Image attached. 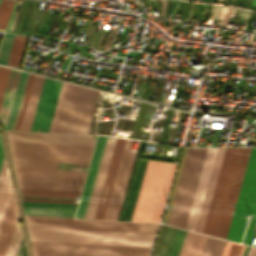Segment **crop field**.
<instances>
[{"label":"crop field","instance_id":"crop-field-52","mask_svg":"<svg viewBox=\"0 0 256 256\" xmlns=\"http://www.w3.org/2000/svg\"><path fill=\"white\" fill-rule=\"evenodd\" d=\"M219 9H220V6H217V7H216L215 14H214V17H213V18L217 19V17H218V13H219Z\"/></svg>","mask_w":256,"mask_h":256},{"label":"crop field","instance_id":"crop-field-35","mask_svg":"<svg viewBox=\"0 0 256 256\" xmlns=\"http://www.w3.org/2000/svg\"><path fill=\"white\" fill-rule=\"evenodd\" d=\"M25 212L74 215L75 210L23 207Z\"/></svg>","mask_w":256,"mask_h":256},{"label":"crop field","instance_id":"crop-field-69","mask_svg":"<svg viewBox=\"0 0 256 256\" xmlns=\"http://www.w3.org/2000/svg\"><path fill=\"white\" fill-rule=\"evenodd\" d=\"M235 3H236V0L234 1V4H233V5H235Z\"/></svg>","mask_w":256,"mask_h":256},{"label":"crop field","instance_id":"crop-field-31","mask_svg":"<svg viewBox=\"0 0 256 256\" xmlns=\"http://www.w3.org/2000/svg\"><path fill=\"white\" fill-rule=\"evenodd\" d=\"M21 237H22L21 229H20L18 220H16V224L12 233V237L8 246L6 256H16Z\"/></svg>","mask_w":256,"mask_h":256},{"label":"crop field","instance_id":"crop-field-15","mask_svg":"<svg viewBox=\"0 0 256 256\" xmlns=\"http://www.w3.org/2000/svg\"><path fill=\"white\" fill-rule=\"evenodd\" d=\"M11 151L91 155L93 146L8 142Z\"/></svg>","mask_w":256,"mask_h":256},{"label":"crop field","instance_id":"crop-field-57","mask_svg":"<svg viewBox=\"0 0 256 256\" xmlns=\"http://www.w3.org/2000/svg\"><path fill=\"white\" fill-rule=\"evenodd\" d=\"M190 4H191V3H189V2H188V4H187V9H186V13H185V17H187V16H188V12H189V8H190Z\"/></svg>","mask_w":256,"mask_h":256},{"label":"crop field","instance_id":"crop-field-10","mask_svg":"<svg viewBox=\"0 0 256 256\" xmlns=\"http://www.w3.org/2000/svg\"><path fill=\"white\" fill-rule=\"evenodd\" d=\"M61 83L58 80L44 78L30 130H49Z\"/></svg>","mask_w":256,"mask_h":256},{"label":"crop field","instance_id":"crop-field-45","mask_svg":"<svg viewBox=\"0 0 256 256\" xmlns=\"http://www.w3.org/2000/svg\"><path fill=\"white\" fill-rule=\"evenodd\" d=\"M30 75H31V74L29 73L28 78H27V82H26V86H25V90H24V93H23V97H22L20 109H19V112H18V116H17L15 128H14V129H16V125H17V122H18L19 114H20L21 107H22V104H23V100H24V97H25V93H26V90H27V86H28V82H29V79H30Z\"/></svg>","mask_w":256,"mask_h":256},{"label":"crop field","instance_id":"crop-field-73","mask_svg":"<svg viewBox=\"0 0 256 256\" xmlns=\"http://www.w3.org/2000/svg\"><path fill=\"white\" fill-rule=\"evenodd\" d=\"M209 1V0H208Z\"/></svg>","mask_w":256,"mask_h":256},{"label":"crop field","instance_id":"crop-field-40","mask_svg":"<svg viewBox=\"0 0 256 256\" xmlns=\"http://www.w3.org/2000/svg\"><path fill=\"white\" fill-rule=\"evenodd\" d=\"M66 84L67 83H62V87H61V90H60V94H59V98H58V101H57V105H56V108H55V112H54V115H53V119H52V123H51V126H50V132H53L54 131V127H55V124H56V120H57V116H58V113H59V109H60V106H61V102H62V99H63V95H64V91H65V88H66Z\"/></svg>","mask_w":256,"mask_h":256},{"label":"crop field","instance_id":"crop-field-51","mask_svg":"<svg viewBox=\"0 0 256 256\" xmlns=\"http://www.w3.org/2000/svg\"><path fill=\"white\" fill-rule=\"evenodd\" d=\"M206 6H207V5H205V4L203 5V9H202V13H201L200 19H204Z\"/></svg>","mask_w":256,"mask_h":256},{"label":"crop field","instance_id":"crop-field-61","mask_svg":"<svg viewBox=\"0 0 256 256\" xmlns=\"http://www.w3.org/2000/svg\"><path fill=\"white\" fill-rule=\"evenodd\" d=\"M256 6V0H253L252 7Z\"/></svg>","mask_w":256,"mask_h":256},{"label":"crop field","instance_id":"crop-field-22","mask_svg":"<svg viewBox=\"0 0 256 256\" xmlns=\"http://www.w3.org/2000/svg\"><path fill=\"white\" fill-rule=\"evenodd\" d=\"M43 78L44 77L37 76V75L34 76L32 88L30 91L28 103L26 106V110H25V114L23 117V121H22L20 130H29L30 129L31 121H32L33 114L35 111V107H36V103H37L38 96L40 93Z\"/></svg>","mask_w":256,"mask_h":256},{"label":"crop field","instance_id":"crop-field-67","mask_svg":"<svg viewBox=\"0 0 256 256\" xmlns=\"http://www.w3.org/2000/svg\"><path fill=\"white\" fill-rule=\"evenodd\" d=\"M238 2H241V0H237V4H238Z\"/></svg>","mask_w":256,"mask_h":256},{"label":"crop field","instance_id":"crop-field-36","mask_svg":"<svg viewBox=\"0 0 256 256\" xmlns=\"http://www.w3.org/2000/svg\"><path fill=\"white\" fill-rule=\"evenodd\" d=\"M24 74L25 73L21 71L20 76H19V80H18V84H17V87H16V91H15V94H14V98H13V101H12L11 109H10V112H9V116H8V119H7V123H6V127H5L6 129L10 128V124H11V121H12L13 113H14V110H15V106H16V103H17L18 96H19V92H20V89H21Z\"/></svg>","mask_w":256,"mask_h":256},{"label":"crop field","instance_id":"crop-field-12","mask_svg":"<svg viewBox=\"0 0 256 256\" xmlns=\"http://www.w3.org/2000/svg\"><path fill=\"white\" fill-rule=\"evenodd\" d=\"M8 141L93 145V136L7 131Z\"/></svg>","mask_w":256,"mask_h":256},{"label":"crop field","instance_id":"crop-field-39","mask_svg":"<svg viewBox=\"0 0 256 256\" xmlns=\"http://www.w3.org/2000/svg\"><path fill=\"white\" fill-rule=\"evenodd\" d=\"M23 206L75 209L77 205L22 202Z\"/></svg>","mask_w":256,"mask_h":256},{"label":"crop field","instance_id":"crop-field-72","mask_svg":"<svg viewBox=\"0 0 256 256\" xmlns=\"http://www.w3.org/2000/svg\"><path fill=\"white\" fill-rule=\"evenodd\" d=\"M204 1V0H203Z\"/></svg>","mask_w":256,"mask_h":256},{"label":"crop field","instance_id":"crop-field-4","mask_svg":"<svg viewBox=\"0 0 256 256\" xmlns=\"http://www.w3.org/2000/svg\"><path fill=\"white\" fill-rule=\"evenodd\" d=\"M246 212L255 213L253 219L248 221L243 241V243L250 245L256 224V148L251 149L226 239L241 241L247 219L245 218Z\"/></svg>","mask_w":256,"mask_h":256},{"label":"crop field","instance_id":"crop-field-7","mask_svg":"<svg viewBox=\"0 0 256 256\" xmlns=\"http://www.w3.org/2000/svg\"><path fill=\"white\" fill-rule=\"evenodd\" d=\"M28 226L156 233L159 224L25 216Z\"/></svg>","mask_w":256,"mask_h":256},{"label":"crop field","instance_id":"crop-field-2","mask_svg":"<svg viewBox=\"0 0 256 256\" xmlns=\"http://www.w3.org/2000/svg\"><path fill=\"white\" fill-rule=\"evenodd\" d=\"M175 166L172 163L148 161L132 221L160 222Z\"/></svg>","mask_w":256,"mask_h":256},{"label":"crop field","instance_id":"crop-field-14","mask_svg":"<svg viewBox=\"0 0 256 256\" xmlns=\"http://www.w3.org/2000/svg\"><path fill=\"white\" fill-rule=\"evenodd\" d=\"M33 256H148L149 253L31 246Z\"/></svg>","mask_w":256,"mask_h":256},{"label":"crop field","instance_id":"crop-field-17","mask_svg":"<svg viewBox=\"0 0 256 256\" xmlns=\"http://www.w3.org/2000/svg\"><path fill=\"white\" fill-rule=\"evenodd\" d=\"M124 141L125 140H123V139H119V138L116 139L113 154L111 157V161L109 164V168L107 171L106 179L104 182V186L102 189V193L100 196V200L98 203V207H97V211H96L94 219H103L104 218L105 210H106L108 199H109L110 192L112 189V185H113V181L115 178V174H116V170L118 167L121 152L123 149Z\"/></svg>","mask_w":256,"mask_h":256},{"label":"crop field","instance_id":"crop-field-59","mask_svg":"<svg viewBox=\"0 0 256 256\" xmlns=\"http://www.w3.org/2000/svg\"><path fill=\"white\" fill-rule=\"evenodd\" d=\"M202 5H203V4H200V5H199V9H198V12H197V13H199V14H200V12H201Z\"/></svg>","mask_w":256,"mask_h":256},{"label":"crop field","instance_id":"crop-field-29","mask_svg":"<svg viewBox=\"0 0 256 256\" xmlns=\"http://www.w3.org/2000/svg\"><path fill=\"white\" fill-rule=\"evenodd\" d=\"M19 190L21 195H30V196L74 198L76 194H80V193H72V192H55V191H40V190H26V189H19Z\"/></svg>","mask_w":256,"mask_h":256},{"label":"crop field","instance_id":"crop-field-41","mask_svg":"<svg viewBox=\"0 0 256 256\" xmlns=\"http://www.w3.org/2000/svg\"><path fill=\"white\" fill-rule=\"evenodd\" d=\"M38 3L39 2H36V1L32 2V6H31V9H30V13H29V17H28V20H27L26 28H25V31H24L25 33L30 32V29H31V26H32V23H33V20H34L36 11H37Z\"/></svg>","mask_w":256,"mask_h":256},{"label":"crop field","instance_id":"crop-field-24","mask_svg":"<svg viewBox=\"0 0 256 256\" xmlns=\"http://www.w3.org/2000/svg\"><path fill=\"white\" fill-rule=\"evenodd\" d=\"M103 138L104 137H102V136H98V138H97L96 146H95V149H94L93 157H92V160H91L90 168H89V171H88L86 183H85V186H84V190H83V194H82V197H81V201H80V205H79V208H78L76 218H81L82 217V213H83V210H84L85 202H86L87 195H88V192H89V188H90V185H91V181H92V177H93L94 170H95V167H96V163H97V160H98V156H99V153H100Z\"/></svg>","mask_w":256,"mask_h":256},{"label":"crop field","instance_id":"crop-field-54","mask_svg":"<svg viewBox=\"0 0 256 256\" xmlns=\"http://www.w3.org/2000/svg\"><path fill=\"white\" fill-rule=\"evenodd\" d=\"M198 5L197 3H195V6H194V11H193V15L192 16H196V12H197V9H198Z\"/></svg>","mask_w":256,"mask_h":256},{"label":"crop field","instance_id":"crop-field-66","mask_svg":"<svg viewBox=\"0 0 256 256\" xmlns=\"http://www.w3.org/2000/svg\"><path fill=\"white\" fill-rule=\"evenodd\" d=\"M94 40H95V39H93V42H92V45H91V46H93Z\"/></svg>","mask_w":256,"mask_h":256},{"label":"crop field","instance_id":"crop-field-1","mask_svg":"<svg viewBox=\"0 0 256 256\" xmlns=\"http://www.w3.org/2000/svg\"><path fill=\"white\" fill-rule=\"evenodd\" d=\"M250 149H225L202 233L226 238Z\"/></svg>","mask_w":256,"mask_h":256},{"label":"crop field","instance_id":"crop-field-33","mask_svg":"<svg viewBox=\"0 0 256 256\" xmlns=\"http://www.w3.org/2000/svg\"><path fill=\"white\" fill-rule=\"evenodd\" d=\"M13 36L14 35H12V34H7V33L4 34L3 42L1 45V49H0V63L1 64H5V65L7 64Z\"/></svg>","mask_w":256,"mask_h":256},{"label":"crop field","instance_id":"crop-field-28","mask_svg":"<svg viewBox=\"0 0 256 256\" xmlns=\"http://www.w3.org/2000/svg\"><path fill=\"white\" fill-rule=\"evenodd\" d=\"M25 37L26 36H20V35L14 36V40H13V44H12V48H11V52H10V56H9L7 65L16 66V67L18 66V62L20 59V55H21V51H22L23 44L25 41Z\"/></svg>","mask_w":256,"mask_h":256},{"label":"crop field","instance_id":"crop-field-64","mask_svg":"<svg viewBox=\"0 0 256 256\" xmlns=\"http://www.w3.org/2000/svg\"><path fill=\"white\" fill-rule=\"evenodd\" d=\"M249 1H250V0L247 1V6L249 5Z\"/></svg>","mask_w":256,"mask_h":256},{"label":"crop field","instance_id":"crop-field-71","mask_svg":"<svg viewBox=\"0 0 256 256\" xmlns=\"http://www.w3.org/2000/svg\"><path fill=\"white\" fill-rule=\"evenodd\" d=\"M245 6H246V4H245Z\"/></svg>","mask_w":256,"mask_h":256},{"label":"crop field","instance_id":"crop-field-74","mask_svg":"<svg viewBox=\"0 0 256 256\" xmlns=\"http://www.w3.org/2000/svg\"><path fill=\"white\" fill-rule=\"evenodd\" d=\"M231 1V0H230Z\"/></svg>","mask_w":256,"mask_h":256},{"label":"crop field","instance_id":"crop-field-47","mask_svg":"<svg viewBox=\"0 0 256 256\" xmlns=\"http://www.w3.org/2000/svg\"><path fill=\"white\" fill-rule=\"evenodd\" d=\"M17 2H18V0L15 1L14 9H13V11H12V13H11L9 22H8V24H7V27H6V30H9L10 27H11L12 20H13V16H14V12H15V9H16V6H17Z\"/></svg>","mask_w":256,"mask_h":256},{"label":"crop field","instance_id":"crop-field-16","mask_svg":"<svg viewBox=\"0 0 256 256\" xmlns=\"http://www.w3.org/2000/svg\"><path fill=\"white\" fill-rule=\"evenodd\" d=\"M186 232L163 225L152 256H178Z\"/></svg>","mask_w":256,"mask_h":256},{"label":"crop field","instance_id":"crop-field-70","mask_svg":"<svg viewBox=\"0 0 256 256\" xmlns=\"http://www.w3.org/2000/svg\"><path fill=\"white\" fill-rule=\"evenodd\" d=\"M205 1H207V0H205Z\"/></svg>","mask_w":256,"mask_h":256},{"label":"crop field","instance_id":"crop-field-44","mask_svg":"<svg viewBox=\"0 0 256 256\" xmlns=\"http://www.w3.org/2000/svg\"><path fill=\"white\" fill-rule=\"evenodd\" d=\"M27 74H28V73L25 74V78H24V81H23L22 89H21V92H20V96H19V99H18V103H17V106H16V110H15V113H14V117H13V121H12V124H11V128H10V129H13V128H14V124H15L17 112H18V109H19V105H20L22 93H23V90H24V86H25ZM28 75H29V74H28Z\"/></svg>","mask_w":256,"mask_h":256},{"label":"crop field","instance_id":"crop-field-58","mask_svg":"<svg viewBox=\"0 0 256 256\" xmlns=\"http://www.w3.org/2000/svg\"><path fill=\"white\" fill-rule=\"evenodd\" d=\"M253 13H254V12L251 13V15H250V17H249V19H248V21H247V24H248V25L250 24V21H251V18H252V16H253Z\"/></svg>","mask_w":256,"mask_h":256},{"label":"crop field","instance_id":"crop-field-37","mask_svg":"<svg viewBox=\"0 0 256 256\" xmlns=\"http://www.w3.org/2000/svg\"><path fill=\"white\" fill-rule=\"evenodd\" d=\"M244 247V245L227 241L222 256H241Z\"/></svg>","mask_w":256,"mask_h":256},{"label":"crop field","instance_id":"crop-field-8","mask_svg":"<svg viewBox=\"0 0 256 256\" xmlns=\"http://www.w3.org/2000/svg\"><path fill=\"white\" fill-rule=\"evenodd\" d=\"M91 91V89L67 84L54 132H81Z\"/></svg>","mask_w":256,"mask_h":256},{"label":"crop field","instance_id":"crop-field-65","mask_svg":"<svg viewBox=\"0 0 256 256\" xmlns=\"http://www.w3.org/2000/svg\"><path fill=\"white\" fill-rule=\"evenodd\" d=\"M214 1H217V0H210V2H214Z\"/></svg>","mask_w":256,"mask_h":256},{"label":"crop field","instance_id":"crop-field-3","mask_svg":"<svg viewBox=\"0 0 256 256\" xmlns=\"http://www.w3.org/2000/svg\"><path fill=\"white\" fill-rule=\"evenodd\" d=\"M30 240L151 247L156 234L28 227Z\"/></svg>","mask_w":256,"mask_h":256},{"label":"crop field","instance_id":"crop-field-32","mask_svg":"<svg viewBox=\"0 0 256 256\" xmlns=\"http://www.w3.org/2000/svg\"><path fill=\"white\" fill-rule=\"evenodd\" d=\"M15 0H2L0 3V29L5 30Z\"/></svg>","mask_w":256,"mask_h":256},{"label":"crop field","instance_id":"crop-field-56","mask_svg":"<svg viewBox=\"0 0 256 256\" xmlns=\"http://www.w3.org/2000/svg\"><path fill=\"white\" fill-rule=\"evenodd\" d=\"M3 154H2V148H1V142H0V166L2 162Z\"/></svg>","mask_w":256,"mask_h":256},{"label":"crop field","instance_id":"crop-field-46","mask_svg":"<svg viewBox=\"0 0 256 256\" xmlns=\"http://www.w3.org/2000/svg\"><path fill=\"white\" fill-rule=\"evenodd\" d=\"M6 167H7V164H6L5 160L3 159V163H2V167H1V171H0V187H1V184H2V181H3V177H4V174H5Z\"/></svg>","mask_w":256,"mask_h":256},{"label":"crop field","instance_id":"crop-field-50","mask_svg":"<svg viewBox=\"0 0 256 256\" xmlns=\"http://www.w3.org/2000/svg\"><path fill=\"white\" fill-rule=\"evenodd\" d=\"M256 248L251 247L248 256H255Z\"/></svg>","mask_w":256,"mask_h":256},{"label":"crop field","instance_id":"crop-field-11","mask_svg":"<svg viewBox=\"0 0 256 256\" xmlns=\"http://www.w3.org/2000/svg\"><path fill=\"white\" fill-rule=\"evenodd\" d=\"M19 188L80 192L84 179L16 175Z\"/></svg>","mask_w":256,"mask_h":256},{"label":"crop field","instance_id":"crop-field-23","mask_svg":"<svg viewBox=\"0 0 256 256\" xmlns=\"http://www.w3.org/2000/svg\"><path fill=\"white\" fill-rule=\"evenodd\" d=\"M30 243H31V245H39V246L90 248V249L124 250V251H141V252H149L150 249H151V248H143V247H125V246L90 245V244L38 242V241H30Z\"/></svg>","mask_w":256,"mask_h":256},{"label":"crop field","instance_id":"crop-field-63","mask_svg":"<svg viewBox=\"0 0 256 256\" xmlns=\"http://www.w3.org/2000/svg\"><path fill=\"white\" fill-rule=\"evenodd\" d=\"M245 1H246V0H243V1H242V5H241V6H244Z\"/></svg>","mask_w":256,"mask_h":256},{"label":"crop field","instance_id":"crop-field-27","mask_svg":"<svg viewBox=\"0 0 256 256\" xmlns=\"http://www.w3.org/2000/svg\"><path fill=\"white\" fill-rule=\"evenodd\" d=\"M225 242L207 236L200 256H221Z\"/></svg>","mask_w":256,"mask_h":256},{"label":"crop field","instance_id":"crop-field-18","mask_svg":"<svg viewBox=\"0 0 256 256\" xmlns=\"http://www.w3.org/2000/svg\"><path fill=\"white\" fill-rule=\"evenodd\" d=\"M116 138L108 137L85 218L93 219Z\"/></svg>","mask_w":256,"mask_h":256},{"label":"crop field","instance_id":"crop-field-38","mask_svg":"<svg viewBox=\"0 0 256 256\" xmlns=\"http://www.w3.org/2000/svg\"><path fill=\"white\" fill-rule=\"evenodd\" d=\"M10 70L11 69H9V68L0 66V106H1V102L3 99L4 92H5V88L7 85Z\"/></svg>","mask_w":256,"mask_h":256},{"label":"crop field","instance_id":"crop-field-62","mask_svg":"<svg viewBox=\"0 0 256 256\" xmlns=\"http://www.w3.org/2000/svg\"><path fill=\"white\" fill-rule=\"evenodd\" d=\"M90 33H91V31H90ZM89 36H90V34H89ZM89 36H88V38H89ZM88 38H87V40L85 41V43H88V41H89Z\"/></svg>","mask_w":256,"mask_h":256},{"label":"crop field","instance_id":"crop-field-55","mask_svg":"<svg viewBox=\"0 0 256 256\" xmlns=\"http://www.w3.org/2000/svg\"><path fill=\"white\" fill-rule=\"evenodd\" d=\"M18 12H19V11H17L16 14H15V16H14L13 24H12V27H11V29H10L11 31L13 30V27H14V24H15V21H16L17 15H18Z\"/></svg>","mask_w":256,"mask_h":256},{"label":"crop field","instance_id":"crop-field-19","mask_svg":"<svg viewBox=\"0 0 256 256\" xmlns=\"http://www.w3.org/2000/svg\"><path fill=\"white\" fill-rule=\"evenodd\" d=\"M143 143L144 142H142V141L139 142L136 158H135V161H134L133 169H132L131 176H130V179H129V183H128V186H127L124 201H125L126 196L128 195V191H129V188H130L132 177H133V174H134V171H135L137 160H138V158L140 156V153H141ZM145 161L146 160H143V159L140 160L138 170H137V172H135L133 184H132V187H131L130 195H129V198H128V202H127L126 209H125L122 220H126V221L130 220L131 212H132V209H133V205H134V201H135V198H136L137 190H138L139 183H140V180H141V176H142V172H143V169H144ZM124 201H123V204H122V208H123V205H124ZM122 208H121V212H122ZM121 212H120V215H121ZM120 215H119V219H120Z\"/></svg>","mask_w":256,"mask_h":256},{"label":"crop field","instance_id":"crop-field-13","mask_svg":"<svg viewBox=\"0 0 256 256\" xmlns=\"http://www.w3.org/2000/svg\"><path fill=\"white\" fill-rule=\"evenodd\" d=\"M216 149L217 148H208L207 149V153L205 156V160H204L201 174L199 177V181L197 184L196 192L194 195V199H193L190 213L188 216V220L186 223V227H185L186 229H190L193 231L195 230L196 222L198 219V215H199L202 200L204 197L205 189H206L207 182L209 179V175H210L213 160L215 157Z\"/></svg>","mask_w":256,"mask_h":256},{"label":"crop field","instance_id":"crop-field-49","mask_svg":"<svg viewBox=\"0 0 256 256\" xmlns=\"http://www.w3.org/2000/svg\"><path fill=\"white\" fill-rule=\"evenodd\" d=\"M147 161H146V165H147ZM146 165H145V169H146ZM145 169H144V172H145ZM144 172H143V176H144ZM143 176H142V180H143ZM142 180H141V183H142ZM141 183H140V187H141ZM140 187H139V190H140ZM138 194H139V191H138ZM138 194H137V198H138ZM137 198H136V201H137ZM136 201H135V205H136ZM135 205H134V209H135ZM134 209H133V212H134ZM133 212H132V216H133ZM132 216H131V220H132Z\"/></svg>","mask_w":256,"mask_h":256},{"label":"crop field","instance_id":"crop-field-34","mask_svg":"<svg viewBox=\"0 0 256 256\" xmlns=\"http://www.w3.org/2000/svg\"><path fill=\"white\" fill-rule=\"evenodd\" d=\"M98 92L99 91H96V90L92 91L91 99H90V102H89L88 110H87V113H86V117H85V121H84L81 133H87L88 132V128H89V125H90V121H91V117H92L93 110H94V107H95Z\"/></svg>","mask_w":256,"mask_h":256},{"label":"crop field","instance_id":"crop-field-9","mask_svg":"<svg viewBox=\"0 0 256 256\" xmlns=\"http://www.w3.org/2000/svg\"><path fill=\"white\" fill-rule=\"evenodd\" d=\"M132 141L133 140L125 141L124 149L122 152L121 160L119 163V167L117 170L116 178L114 181L113 189L111 192L110 200L108 203L104 219H118L119 211L121 208L130 171L135 157V153L129 152Z\"/></svg>","mask_w":256,"mask_h":256},{"label":"crop field","instance_id":"crop-field-26","mask_svg":"<svg viewBox=\"0 0 256 256\" xmlns=\"http://www.w3.org/2000/svg\"><path fill=\"white\" fill-rule=\"evenodd\" d=\"M205 237L188 231L179 256H199Z\"/></svg>","mask_w":256,"mask_h":256},{"label":"crop field","instance_id":"crop-field-43","mask_svg":"<svg viewBox=\"0 0 256 256\" xmlns=\"http://www.w3.org/2000/svg\"><path fill=\"white\" fill-rule=\"evenodd\" d=\"M33 76H34V75L32 74V75H31L30 82H29L28 90H27V93H26V97H25V100H24V104H23V107H22V111H21V114H20V118H19V122H18L17 129H16V130H19V129H20V125H21V121H22L23 114H24V110H25L26 102H27V99H28L29 91H30V88H31V84H32Z\"/></svg>","mask_w":256,"mask_h":256},{"label":"crop field","instance_id":"crop-field-6","mask_svg":"<svg viewBox=\"0 0 256 256\" xmlns=\"http://www.w3.org/2000/svg\"><path fill=\"white\" fill-rule=\"evenodd\" d=\"M206 149H188L168 225L185 227Z\"/></svg>","mask_w":256,"mask_h":256},{"label":"crop field","instance_id":"crop-field-30","mask_svg":"<svg viewBox=\"0 0 256 256\" xmlns=\"http://www.w3.org/2000/svg\"><path fill=\"white\" fill-rule=\"evenodd\" d=\"M10 189H11V185H10V179H9L8 168H7L4 181L1 187V191H0V224H1V220L5 210V206L8 200Z\"/></svg>","mask_w":256,"mask_h":256},{"label":"crop field","instance_id":"crop-field-20","mask_svg":"<svg viewBox=\"0 0 256 256\" xmlns=\"http://www.w3.org/2000/svg\"><path fill=\"white\" fill-rule=\"evenodd\" d=\"M17 217L13 193L9 196L2 224L0 227V256H5L11 233Z\"/></svg>","mask_w":256,"mask_h":256},{"label":"crop field","instance_id":"crop-field-48","mask_svg":"<svg viewBox=\"0 0 256 256\" xmlns=\"http://www.w3.org/2000/svg\"><path fill=\"white\" fill-rule=\"evenodd\" d=\"M25 215L73 217V216H66V215H49V214H33V213H25Z\"/></svg>","mask_w":256,"mask_h":256},{"label":"crop field","instance_id":"crop-field-25","mask_svg":"<svg viewBox=\"0 0 256 256\" xmlns=\"http://www.w3.org/2000/svg\"><path fill=\"white\" fill-rule=\"evenodd\" d=\"M19 72L20 71L14 70V69L11 70L8 85L6 88V92H5L1 110H0V122L2 123L3 127H5L6 119L8 116L9 109H10V105H11V101L13 98L16 83L18 80Z\"/></svg>","mask_w":256,"mask_h":256},{"label":"crop field","instance_id":"crop-field-60","mask_svg":"<svg viewBox=\"0 0 256 256\" xmlns=\"http://www.w3.org/2000/svg\"><path fill=\"white\" fill-rule=\"evenodd\" d=\"M103 36H104V35H102L101 38H100L99 44H98V46H97L98 48H99V46H100V44H101V41H102V39H103Z\"/></svg>","mask_w":256,"mask_h":256},{"label":"crop field","instance_id":"crop-field-42","mask_svg":"<svg viewBox=\"0 0 256 256\" xmlns=\"http://www.w3.org/2000/svg\"><path fill=\"white\" fill-rule=\"evenodd\" d=\"M106 138L107 137L104 138V142H103V145H102L101 153H100V156H99V160H98V163H97V167H96V170H95L94 178H93V181H92V185H91V188H90V192H89V195H88V199H87V202H86V206H85V210H84L82 218L85 217V213H86V210H87L88 202H89L90 195H91V192H92V188H93V185H94V181H95V177H96L97 170H98V167H99V163H100V160H101V156H102V153H103V149H104V145H105V142H106Z\"/></svg>","mask_w":256,"mask_h":256},{"label":"crop field","instance_id":"crop-field-5","mask_svg":"<svg viewBox=\"0 0 256 256\" xmlns=\"http://www.w3.org/2000/svg\"><path fill=\"white\" fill-rule=\"evenodd\" d=\"M15 174L84 178L86 172L55 170L57 163L88 164L91 156L11 152Z\"/></svg>","mask_w":256,"mask_h":256},{"label":"crop field","instance_id":"crop-field-21","mask_svg":"<svg viewBox=\"0 0 256 256\" xmlns=\"http://www.w3.org/2000/svg\"><path fill=\"white\" fill-rule=\"evenodd\" d=\"M224 149L225 148H218L217 149V153H216L213 168H212V171H211L210 179H209V182H208L207 190H206V193H205V197H204V200H203V204H202V208H201V211H200L199 219H198V222H197V226H196V230H195L196 232H200V233L202 232V228H203L205 217H206L207 210H208V207H209L210 199H211V196H212V192H213L214 185H215V182H216V178H217V174H218L219 167H220V164H221L222 156H223V153H224Z\"/></svg>","mask_w":256,"mask_h":256},{"label":"crop field","instance_id":"crop-field-53","mask_svg":"<svg viewBox=\"0 0 256 256\" xmlns=\"http://www.w3.org/2000/svg\"><path fill=\"white\" fill-rule=\"evenodd\" d=\"M173 136L167 137L164 143L171 144Z\"/></svg>","mask_w":256,"mask_h":256},{"label":"crop field","instance_id":"crop-field-68","mask_svg":"<svg viewBox=\"0 0 256 256\" xmlns=\"http://www.w3.org/2000/svg\"><path fill=\"white\" fill-rule=\"evenodd\" d=\"M251 2H252V0L250 1V5H251ZM250 5H249V7H250Z\"/></svg>","mask_w":256,"mask_h":256}]
</instances>
